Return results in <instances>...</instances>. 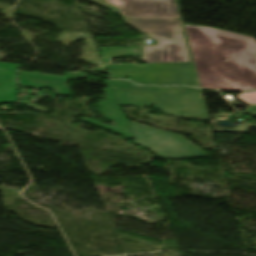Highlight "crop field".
Masks as SVG:
<instances>
[{
  "label": "crop field",
  "instance_id": "5",
  "mask_svg": "<svg viewBox=\"0 0 256 256\" xmlns=\"http://www.w3.org/2000/svg\"><path fill=\"white\" fill-rule=\"evenodd\" d=\"M158 45L143 46L144 63L191 62L183 33H146Z\"/></svg>",
  "mask_w": 256,
  "mask_h": 256
},
{
  "label": "crop field",
  "instance_id": "9",
  "mask_svg": "<svg viewBox=\"0 0 256 256\" xmlns=\"http://www.w3.org/2000/svg\"><path fill=\"white\" fill-rule=\"evenodd\" d=\"M126 21L143 32H183L179 17H136Z\"/></svg>",
  "mask_w": 256,
  "mask_h": 256
},
{
  "label": "crop field",
  "instance_id": "6",
  "mask_svg": "<svg viewBox=\"0 0 256 256\" xmlns=\"http://www.w3.org/2000/svg\"><path fill=\"white\" fill-rule=\"evenodd\" d=\"M106 81V80H105ZM108 85V89L105 90L106 101L99 103L100 110L102 112V115L105 119L112 122L110 126L101 123L99 121L90 119V118H83L81 120H84L86 122L92 123L94 125H97L99 127H102L104 129L119 133L126 137L127 139H133L131 136V133L129 131L126 119L124 117V114L120 108V105L115 97L113 87L111 85L110 81H106Z\"/></svg>",
  "mask_w": 256,
  "mask_h": 256
},
{
  "label": "crop field",
  "instance_id": "11",
  "mask_svg": "<svg viewBox=\"0 0 256 256\" xmlns=\"http://www.w3.org/2000/svg\"><path fill=\"white\" fill-rule=\"evenodd\" d=\"M102 62L113 63V58L139 56L140 47H100Z\"/></svg>",
  "mask_w": 256,
  "mask_h": 256
},
{
  "label": "crop field",
  "instance_id": "4",
  "mask_svg": "<svg viewBox=\"0 0 256 256\" xmlns=\"http://www.w3.org/2000/svg\"><path fill=\"white\" fill-rule=\"evenodd\" d=\"M128 125L137 145L155 152L164 159L206 156L180 135L132 122H128Z\"/></svg>",
  "mask_w": 256,
  "mask_h": 256
},
{
  "label": "crop field",
  "instance_id": "12",
  "mask_svg": "<svg viewBox=\"0 0 256 256\" xmlns=\"http://www.w3.org/2000/svg\"><path fill=\"white\" fill-rule=\"evenodd\" d=\"M90 1L96 2L115 13H119L117 9L118 5L116 0H90Z\"/></svg>",
  "mask_w": 256,
  "mask_h": 256
},
{
  "label": "crop field",
  "instance_id": "14",
  "mask_svg": "<svg viewBox=\"0 0 256 256\" xmlns=\"http://www.w3.org/2000/svg\"><path fill=\"white\" fill-rule=\"evenodd\" d=\"M113 87L114 88H130V82H126V81H115V80H111ZM140 88L143 89H150L152 87H148V86H141Z\"/></svg>",
  "mask_w": 256,
  "mask_h": 256
},
{
  "label": "crop field",
  "instance_id": "1",
  "mask_svg": "<svg viewBox=\"0 0 256 256\" xmlns=\"http://www.w3.org/2000/svg\"><path fill=\"white\" fill-rule=\"evenodd\" d=\"M200 87L256 89L255 38L210 27L185 25ZM227 58L229 61L221 60Z\"/></svg>",
  "mask_w": 256,
  "mask_h": 256
},
{
  "label": "crop field",
  "instance_id": "13",
  "mask_svg": "<svg viewBox=\"0 0 256 256\" xmlns=\"http://www.w3.org/2000/svg\"><path fill=\"white\" fill-rule=\"evenodd\" d=\"M235 96L248 105H256V91L252 93H242Z\"/></svg>",
  "mask_w": 256,
  "mask_h": 256
},
{
  "label": "crop field",
  "instance_id": "3",
  "mask_svg": "<svg viewBox=\"0 0 256 256\" xmlns=\"http://www.w3.org/2000/svg\"><path fill=\"white\" fill-rule=\"evenodd\" d=\"M111 78L129 77L149 85L197 86L192 64L172 65H105Z\"/></svg>",
  "mask_w": 256,
  "mask_h": 256
},
{
  "label": "crop field",
  "instance_id": "10",
  "mask_svg": "<svg viewBox=\"0 0 256 256\" xmlns=\"http://www.w3.org/2000/svg\"><path fill=\"white\" fill-rule=\"evenodd\" d=\"M7 65L8 63L0 64V104L12 103L17 101L15 97L17 91L15 71L16 68L19 67V65ZM19 104L30 106L44 112L47 111V109L31 103L21 102Z\"/></svg>",
  "mask_w": 256,
  "mask_h": 256
},
{
  "label": "crop field",
  "instance_id": "2",
  "mask_svg": "<svg viewBox=\"0 0 256 256\" xmlns=\"http://www.w3.org/2000/svg\"><path fill=\"white\" fill-rule=\"evenodd\" d=\"M114 90L121 106H153L172 116L208 119L202 92L198 89L162 87L153 90Z\"/></svg>",
  "mask_w": 256,
  "mask_h": 256
},
{
  "label": "crop field",
  "instance_id": "15",
  "mask_svg": "<svg viewBox=\"0 0 256 256\" xmlns=\"http://www.w3.org/2000/svg\"><path fill=\"white\" fill-rule=\"evenodd\" d=\"M242 113H250L252 116H256V107H248Z\"/></svg>",
  "mask_w": 256,
  "mask_h": 256
},
{
  "label": "crop field",
  "instance_id": "8",
  "mask_svg": "<svg viewBox=\"0 0 256 256\" xmlns=\"http://www.w3.org/2000/svg\"><path fill=\"white\" fill-rule=\"evenodd\" d=\"M88 76V75H87ZM82 72L66 73V76L58 77L51 75L35 74L19 71V81L22 87L51 88L57 95H69L67 86L64 85L68 79L87 77Z\"/></svg>",
  "mask_w": 256,
  "mask_h": 256
},
{
  "label": "crop field",
  "instance_id": "7",
  "mask_svg": "<svg viewBox=\"0 0 256 256\" xmlns=\"http://www.w3.org/2000/svg\"><path fill=\"white\" fill-rule=\"evenodd\" d=\"M125 17L179 16L175 0H117ZM123 16V17H124Z\"/></svg>",
  "mask_w": 256,
  "mask_h": 256
}]
</instances>
